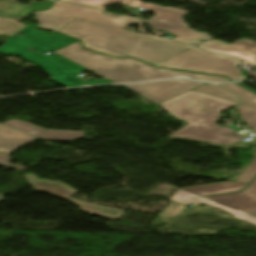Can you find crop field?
Masks as SVG:
<instances>
[{
    "label": "crop field",
    "instance_id": "4a817a6b",
    "mask_svg": "<svg viewBox=\"0 0 256 256\" xmlns=\"http://www.w3.org/2000/svg\"><path fill=\"white\" fill-rule=\"evenodd\" d=\"M220 86L238 94L242 98V104L256 108V95L236 84H221Z\"/></svg>",
    "mask_w": 256,
    "mask_h": 256
},
{
    "label": "crop field",
    "instance_id": "92a150f3",
    "mask_svg": "<svg viewBox=\"0 0 256 256\" xmlns=\"http://www.w3.org/2000/svg\"><path fill=\"white\" fill-rule=\"evenodd\" d=\"M27 25L15 20L0 18V34H4L8 37L17 33Z\"/></svg>",
    "mask_w": 256,
    "mask_h": 256
},
{
    "label": "crop field",
    "instance_id": "00972430",
    "mask_svg": "<svg viewBox=\"0 0 256 256\" xmlns=\"http://www.w3.org/2000/svg\"><path fill=\"white\" fill-rule=\"evenodd\" d=\"M240 118L251 126L256 132V109L240 104L237 108Z\"/></svg>",
    "mask_w": 256,
    "mask_h": 256
},
{
    "label": "crop field",
    "instance_id": "8a807250",
    "mask_svg": "<svg viewBox=\"0 0 256 256\" xmlns=\"http://www.w3.org/2000/svg\"><path fill=\"white\" fill-rule=\"evenodd\" d=\"M58 32L80 39L85 48L115 57L132 56L152 65L191 48L134 31L77 19Z\"/></svg>",
    "mask_w": 256,
    "mask_h": 256
},
{
    "label": "crop field",
    "instance_id": "d3111659",
    "mask_svg": "<svg viewBox=\"0 0 256 256\" xmlns=\"http://www.w3.org/2000/svg\"><path fill=\"white\" fill-rule=\"evenodd\" d=\"M0 16L13 17V16H15V15L10 14V13H7V12L0 11Z\"/></svg>",
    "mask_w": 256,
    "mask_h": 256
},
{
    "label": "crop field",
    "instance_id": "412701ff",
    "mask_svg": "<svg viewBox=\"0 0 256 256\" xmlns=\"http://www.w3.org/2000/svg\"><path fill=\"white\" fill-rule=\"evenodd\" d=\"M159 105L175 118L187 123H215L221 116L220 112L237 104L190 90Z\"/></svg>",
    "mask_w": 256,
    "mask_h": 256
},
{
    "label": "crop field",
    "instance_id": "5a996713",
    "mask_svg": "<svg viewBox=\"0 0 256 256\" xmlns=\"http://www.w3.org/2000/svg\"><path fill=\"white\" fill-rule=\"evenodd\" d=\"M199 48L209 52H217L240 57L251 64H256V49L241 40L237 41L233 45H228L221 41L209 40L204 42Z\"/></svg>",
    "mask_w": 256,
    "mask_h": 256
},
{
    "label": "crop field",
    "instance_id": "ac0d7876",
    "mask_svg": "<svg viewBox=\"0 0 256 256\" xmlns=\"http://www.w3.org/2000/svg\"><path fill=\"white\" fill-rule=\"evenodd\" d=\"M22 33V37L16 35ZM14 36L10 37L5 44L0 48V53L19 55L34 64L42 67L52 80L67 88L80 87L83 83L74 76L78 75L85 68L67 60L66 58L55 54L52 56H45V51H55L65 46L76 42L71 38L63 35H46L40 31L34 30L31 27H26ZM36 49L35 52H28V48ZM40 52V54H37Z\"/></svg>",
    "mask_w": 256,
    "mask_h": 256
},
{
    "label": "crop field",
    "instance_id": "dafd665d",
    "mask_svg": "<svg viewBox=\"0 0 256 256\" xmlns=\"http://www.w3.org/2000/svg\"><path fill=\"white\" fill-rule=\"evenodd\" d=\"M0 10L16 14L19 18L32 12L29 6L16 5L9 0H0Z\"/></svg>",
    "mask_w": 256,
    "mask_h": 256
},
{
    "label": "crop field",
    "instance_id": "28ad6ade",
    "mask_svg": "<svg viewBox=\"0 0 256 256\" xmlns=\"http://www.w3.org/2000/svg\"><path fill=\"white\" fill-rule=\"evenodd\" d=\"M16 129L24 132L34 131L32 134L45 140H76L81 139L84 136V132L78 131H58V130H46L36 125L26 123L21 120H10L5 123Z\"/></svg>",
    "mask_w": 256,
    "mask_h": 256
},
{
    "label": "crop field",
    "instance_id": "5142ce71",
    "mask_svg": "<svg viewBox=\"0 0 256 256\" xmlns=\"http://www.w3.org/2000/svg\"><path fill=\"white\" fill-rule=\"evenodd\" d=\"M138 19L142 23H146L150 25L153 29L164 30V31H167L168 33L178 36L173 40L191 44L199 39H202V40L213 39L208 34L193 31L191 29H185V28H181V27H177V26H173L165 23L153 22V21H148L140 18Z\"/></svg>",
    "mask_w": 256,
    "mask_h": 256
},
{
    "label": "crop field",
    "instance_id": "750c4746",
    "mask_svg": "<svg viewBox=\"0 0 256 256\" xmlns=\"http://www.w3.org/2000/svg\"><path fill=\"white\" fill-rule=\"evenodd\" d=\"M238 84H240V83H238ZM240 85H242V84H240ZM242 86H244V85H242ZM245 88H247V89H249V90H251V91H253V92H255L254 90H252V89H250V88H248V87H246V86H244ZM256 93V92H255Z\"/></svg>",
    "mask_w": 256,
    "mask_h": 256
},
{
    "label": "crop field",
    "instance_id": "733c2abd",
    "mask_svg": "<svg viewBox=\"0 0 256 256\" xmlns=\"http://www.w3.org/2000/svg\"><path fill=\"white\" fill-rule=\"evenodd\" d=\"M21 146H23V144L0 137V153L1 152L5 153L4 155H0V165L11 167L13 169L20 170V171L25 170L26 168L24 167L8 164L11 158H9L7 154L13 152L14 150L18 149Z\"/></svg>",
    "mask_w": 256,
    "mask_h": 256
},
{
    "label": "crop field",
    "instance_id": "f4fd0767",
    "mask_svg": "<svg viewBox=\"0 0 256 256\" xmlns=\"http://www.w3.org/2000/svg\"><path fill=\"white\" fill-rule=\"evenodd\" d=\"M239 62L241 61L236 58H228L191 48L155 66L224 75L235 81L244 80L241 71L237 69Z\"/></svg>",
    "mask_w": 256,
    "mask_h": 256
},
{
    "label": "crop field",
    "instance_id": "dd49c442",
    "mask_svg": "<svg viewBox=\"0 0 256 256\" xmlns=\"http://www.w3.org/2000/svg\"><path fill=\"white\" fill-rule=\"evenodd\" d=\"M39 28L58 31L72 19H82L124 28L138 23L128 17L107 16L98 10L55 2L49 10L34 13Z\"/></svg>",
    "mask_w": 256,
    "mask_h": 256
},
{
    "label": "crop field",
    "instance_id": "214f88e0",
    "mask_svg": "<svg viewBox=\"0 0 256 256\" xmlns=\"http://www.w3.org/2000/svg\"><path fill=\"white\" fill-rule=\"evenodd\" d=\"M0 136L12 139L14 141L23 143V144H27L35 139H37L36 137L15 131L13 129L4 127L2 125H0Z\"/></svg>",
    "mask_w": 256,
    "mask_h": 256
},
{
    "label": "crop field",
    "instance_id": "bd1437ed",
    "mask_svg": "<svg viewBox=\"0 0 256 256\" xmlns=\"http://www.w3.org/2000/svg\"><path fill=\"white\" fill-rule=\"evenodd\" d=\"M0 201H3V197L2 196H0Z\"/></svg>",
    "mask_w": 256,
    "mask_h": 256
},
{
    "label": "crop field",
    "instance_id": "d8731c3e",
    "mask_svg": "<svg viewBox=\"0 0 256 256\" xmlns=\"http://www.w3.org/2000/svg\"><path fill=\"white\" fill-rule=\"evenodd\" d=\"M203 83L188 82L182 80H172L156 83L124 85V87L159 103L175 95L188 91Z\"/></svg>",
    "mask_w": 256,
    "mask_h": 256
},
{
    "label": "crop field",
    "instance_id": "bc2a9ffb",
    "mask_svg": "<svg viewBox=\"0 0 256 256\" xmlns=\"http://www.w3.org/2000/svg\"><path fill=\"white\" fill-rule=\"evenodd\" d=\"M195 91H199V92H203V93H207L213 96H217V97H221V98H225L228 100H231L233 102L239 103L238 98L236 97V95L231 94L215 85H210V84H205L203 86L197 87L195 89H192Z\"/></svg>",
    "mask_w": 256,
    "mask_h": 256
},
{
    "label": "crop field",
    "instance_id": "4177f3b9",
    "mask_svg": "<svg viewBox=\"0 0 256 256\" xmlns=\"http://www.w3.org/2000/svg\"><path fill=\"white\" fill-rule=\"evenodd\" d=\"M187 206L171 202L159 217L169 218L171 216H178ZM176 208V210H174Z\"/></svg>",
    "mask_w": 256,
    "mask_h": 256
},
{
    "label": "crop field",
    "instance_id": "d1516ede",
    "mask_svg": "<svg viewBox=\"0 0 256 256\" xmlns=\"http://www.w3.org/2000/svg\"><path fill=\"white\" fill-rule=\"evenodd\" d=\"M170 200L184 203V204H193V205H200L204 203V204L213 206L215 208L230 212L233 214V217L239 218L241 220H244L256 225V217L253 215H250L242 211L236 210L234 208L205 199L201 196L185 192L181 189H179Z\"/></svg>",
    "mask_w": 256,
    "mask_h": 256
},
{
    "label": "crop field",
    "instance_id": "eef30255",
    "mask_svg": "<svg viewBox=\"0 0 256 256\" xmlns=\"http://www.w3.org/2000/svg\"><path fill=\"white\" fill-rule=\"evenodd\" d=\"M53 2L54 1L33 2V3H30V6H31L33 11L42 10V9H49V7L51 6V4Z\"/></svg>",
    "mask_w": 256,
    "mask_h": 256
},
{
    "label": "crop field",
    "instance_id": "3316defc",
    "mask_svg": "<svg viewBox=\"0 0 256 256\" xmlns=\"http://www.w3.org/2000/svg\"><path fill=\"white\" fill-rule=\"evenodd\" d=\"M207 198L256 216V179L242 193Z\"/></svg>",
    "mask_w": 256,
    "mask_h": 256
},
{
    "label": "crop field",
    "instance_id": "ae1a2a85",
    "mask_svg": "<svg viewBox=\"0 0 256 256\" xmlns=\"http://www.w3.org/2000/svg\"><path fill=\"white\" fill-rule=\"evenodd\" d=\"M87 84V86L89 85H101V84H110L113 83L109 80H102V81H91V82H85Z\"/></svg>",
    "mask_w": 256,
    "mask_h": 256
},
{
    "label": "crop field",
    "instance_id": "730fd06b",
    "mask_svg": "<svg viewBox=\"0 0 256 256\" xmlns=\"http://www.w3.org/2000/svg\"><path fill=\"white\" fill-rule=\"evenodd\" d=\"M256 176V158L255 160L244 170V172L238 177L236 181L250 183Z\"/></svg>",
    "mask_w": 256,
    "mask_h": 256
},
{
    "label": "crop field",
    "instance_id": "d9b57169",
    "mask_svg": "<svg viewBox=\"0 0 256 256\" xmlns=\"http://www.w3.org/2000/svg\"><path fill=\"white\" fill-rule=\"evenodd\" d=\"M248 184L239 182H225L217 184H208L183 188V190L195 193L201 196L214 195L221 193L242 191Z\"/></svg>",
    "mask_w": 256,
    "mask_h": 256
},
{
    "label": "crop field",
    "instance_id": "34b2d1b8",
    "mask_svg": "<svg viewBox=\"0 0 256 256\" xmlns=\"http://www.w3.org/2000/svg\"><path fill=\"white\" fill-rule=\"evenodd\" d=\"M83 67L90 69L115 83L149 81L169 77H184L203 81H229L224 77L153 68L132 58L115 59L83 50L78 43L56 51Z\"/></svg>",
    "mask_w": 256,
    "mask_h": 256
},
{
    "label": "crop field",
    "instance_id": "a9b5d70f",
    "mask_svg": "<svg viewBox=\"0 0 256 256\" xmlns=\"http://www.w3.org/2000/svg\"><path fill=\"white\" fill-rule=\"evenodd\" d=\"M62 1L102 9L106 4H113V3L123 4L125 0H62Z\"/></svg>",
    "mask_w": 256,
    "mask_h": 256
},
{
    "label": "crop field",
    "instance_id": "cbeb9de0",
    "mask_svg": "<svg viewBox=\"0 0 256 256\" xmlns=\"http://www.w3.org/2000/svg\"><path fill=\"white\" fill-rule=\"evenodd\" d=\"M222 127L216 124H187L169 137H184L211 142Z\"/></svg>",
    "mask_w": 256,
    "mask_h": 256
},
{
    "label": "crop field",
    "instance_id": "e52e79f7",
    "mask_svg": "<svg viewBox=\"0 0 256 256\" xmlns=\"http://www.w3.org/2000/svg\"><path fill=\"white\" fill-rule=\"evenodd\" d=\"M28 182L34 187L35 192H44L57 197H61L67 200L72 201L77 207H79L82 211L101 215L113 219H119L124 212L112 208H107L103 206H98L94 204L84 203L77 201L71 197H68L77 191L72 189L71 187L62 184L56 181L49 180H38L33 174L24 175Z\"/></svg>",
    "mask_w": 256,
    "mask_h": 256
},
{
    "label": "crop field",
    "instance_id": "22f410ed",
    "mask_svg": "<svg viewBox=\"0 0 256 256\" xmlns=\"http://www.w3.org/2000/svg\"><path fill=\"white\" fill-rule=\"evenodd\" d=\"M126 5L130 7H141V8L149 9L155 12V16L150 20L166 22V23L188 28V26L185 24L184 20L182 19L183 16L186 13H188L187 11L142 3L141 1H137V0H127ZM166 18L169 20H165Z\"/></svg>",
    "mask_w": 256,
    "mask_h": 256
}]
</instances>
